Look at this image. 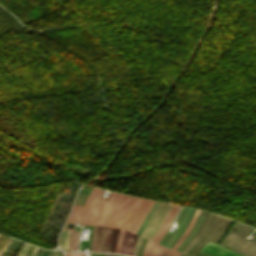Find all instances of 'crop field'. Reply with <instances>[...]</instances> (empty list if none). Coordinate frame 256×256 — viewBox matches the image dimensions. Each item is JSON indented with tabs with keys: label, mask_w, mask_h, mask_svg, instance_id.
Listing matches in <instances>:
<instances>
[{
	"label": "crop field",
	"mask_w": 256,
	"mask_h": 256,
	"mask_svg": "<svg viewBox=\"0 0 256 256\" xmlns=\"http://www.w3.org/2000/svg\"><path fill=\"white\" fill-rule=\"evenodd\" d=\"M238 230L236 234L233 230ZM252 228L236 222L221 245L235 250L244 256H256V235L252 241L243 240Z\"/></svg>",
	"instance_id": "obj_3"
},
{
	"label": "crop field",
	"mask_w": 256,
	"mask_h": 256,
	"mask_svg": "<svg viewBox=\"0 0 256 256\" xmlns=\"http://www.w3.org/2000/svg\"><path fill=\"white\" fill-rule=\"evenodd\" d=\"M148 202H149L148 199L141 198L140 202L136 206L135 210L133 211V213L130 216L129 220L125 224L124 228L120 230L115 252L119 253L121 242H122V238H123L124 229H128V230L131 231V229L134 227V225L136 224L137 220L141 216L142 212L144 211V209H145L146 205L148 204Z\"/></svg>",
	"instance_id": "obj_7"
},
{
	"label": "crop field",
	"mask_w": 256,
	"mask_h": 256,
	"mask_svg": "<svg viewBox=\"0 0 256 256\" xmlns=\"http://www.w3.org/2000/svg\"><path fill=\"white\" fill-rule=\"evenodd\" d=\"M154 203L153 200H150L148 206L146 207L145 211L143 212L142 216L140 217V219L138 220L137 224L135 225V227L132 229V233H135V231L137 230L138 226L140 225V223L142 222V220L144 219L145 215L147 214V212L149 211V209L151 208L152 204Z\"/></svg>",
	"instance_id": "obj_13"
},
{
	"label": "crop field",
	"mask_w": 256,
	"mask_h": 256,
	"mask_svg": "<svg viewBox=\"0 0 256 256\" xmlns=\"http://www.w3.org/2000/svg\"><path fill=\"white\" fill-rule=\"evenodd\" d=\"M111 256H122V255H115V254H111Z\"/></svg>",
	"instance_id": "obj_23"
},
{
	"label": "crop field",
	"mask_w": 256,
	"mask_h": 256,
	"mask_svg": "<svg viewBox=\"0 0 256 256\" xmlns=\"http://www.w3.org/2000/svg\"><path fill=\"white\" fill-rule=\"evenodd\" d=\"M201 250L215 256H241L221 245L212 242H208Z\"/></svg>",
	"instance_id": "obj_8"
},
{
	"label": "crop field",
	"mask_w": 256,
	"mask_h": 256,
	"mask_svg": "<svg viewBox=\"0 0 256 256\" xmlns=\"http://www.w3.org/2000/svg\"><path fill=\"white\" fill-rule=\"evenodd\" d=\"M42 256H60L59 252L44 250Z\"/></svg>",
	"instance_id": "obj_16"
},
{
	"label": "crop field",
	"mask_w": 256,
	"mask_h": 256,
	"mask_svg": "<svg viewBox=\"0 0 256 256\" xmlns=\"http://www.w3.org/2000/svg\"><path fill=\"white\" fill-rule=\"evenodd\" d=\"M28 247H29V245L24 243V245L22 246V248L19 251V253L17 254V256H24V254L26 253Z\"/></svg>",
	"instance_id": "obj_17"
},
{
	"label": "crop field",
	"mask_w": 256,
	"mask_h": 256,
	"mask_svg": "<svg viewBox=\"0 0 256 256\" xmlns=\"http://www.w3.org/2000/svg\"><path fill=\"white\" fill-rule=\"evenodd\" d=\"M230 223L231 220L209 213L199 233L180 256H193L209 240L217 243Z\"/></svg>",
	"instance_id": "obj_2"
},
{
	"label": "crop field",
	"mask_w": 256,
	"mask_h": 256,
	"mask_svg": "<svg viewBox=\"0 0 256 256\" xmlns=\"http://www.w3.org/2000/svg\"><path fill=\"white\" fill-rule=\"evenodd\" d=\"M69 233H70V231L63 229L59 236V245L63 249H67Z\"/></svg>",
	"instance_id": "obj_12"
},
{
	"label": "crop field",
	"mask_w": 256,
	"mask_h": 256,
	"mask_svg": "<svg viewBox=\"0 0 256 256\" xmlns=\"http://www.w3.org/2000/svg\"><path fill=\"white\" fill-rule=\"evenodd\" d=\"M60 254H61V256H63V253L60 252Z\"/></svg>",
	"instance_id": "obj_25"
},
{
	"label": "crop field",
	"mask_w": 256,
	"mask_h": 256,
	"mask_svg": "<svg viewBox=\"0 0 256 256\" xmlns=\"http://www.w3.org/2000/svg\"><path fill=\"white\" fill-rule=\"evenodd\" d=\"M152 244H153L152 241H149V240L147 241V244H146V247H145V250H144L142 256H148L149 255V252L151 250Z\"/></svg>",
	"instance_id": "obj_15"
},
{
	"label": "crop field",
	"mask_w": 256,
	"mask_h": 256,
	"mask_svg": "<svg viewBox=\"0 0 256 256\" xmlns=\"http://www.w3.org/2000/svg\"><path fill=\"white\" fill-rule=\"evenodd\" d=\"M65 256H85V253L65 252Z\"/></svg>",
	"instance_id": "obj_18"
},
{
	"label": "crop field",
	"mask_w": 256,
	"mask_h": 256,
	"mask_svg": "<svg viewBox=\"0 0 256 256\" xmlns=\"http://www.w3.org/2000/svg\"><path fill=\"white\" fill-rule=\"evenodd\" d=\"M36 251H37V247H34L30 256H35Z\"/></svg>",
	"instance_id": "obj_20"
},
{
	"label": "crop field",
	"mask_w": 256,
	"mask_h": 256,
	"mask_svg": "<svg viewBox=\"0 0 256 256\" xmlns=\"http://www.w3.org/2000/svg\"><path fill=\"white\" fill-rule=\"evenodd\" d=\"M137 237L138 236H136L135 234H132L125 230L120 252L132 255L135 243L137 241Z\"/></svg>",
	"instance_id": "obj_9"
},
{
	"label": "crop field",
	"mask_w": 256,
	"mask_h": 256,
	"mask_svg": "<svg viewBox=\"0 0 256 256\" xmlns=\"http://www.w3.org/2000/svg\"><path fill=\"white\" fill-rule=\"evenodd\" d=\"M77 193H78V192H77ZM86 198H87V194H83V193H80V192H79V193L76 195V199H75V202H74V203L83 205L84 202H85V200H86Z\"/></svg>",
	"instance_id": "obj_14"
},
{
	"label": "crop field",
	"mask_w": 256,
	"mask_h": 256,
	"mask_svg": "<svg viewBox=\"0 0 256 256\" xmlns=\"http://www.w3.org/2000/svg\"><path fill=\"white\" fill-rule=\"evenodd\" d=\"M7 239H8V237L6 238L5 242L7 241ZM10 241H11V238L8 239V241L6 242V244H5V242L3 243V245L5 244V246L3 247V245H2L3 249H2V251H1V253H0V255L3 253V251L5 250V248L7 247V245L9 244ZM2 247H1V248H2ZM1 248H0V250H1Z\"/></svg>",
	"instance_id": "obj_19"
},
{
	"label": "crop field",
	"mask_w": 256,
	"mask_h": 256,
	"mask_svg": "<svg viewBox=\"0 0 256 256\" xmlns=\"http://www.w3.org/2000/svg\"><path fill=\"white\" fill-rule=\"evenodd\" d=\"M80 233V227L76 226L75 231H71L69 250H77V242Z\"/></svg>",
	"instance_id": "obj_11"
},
{
	"label": "crop field",
	"mask_w": 256,
	"mask_h": 256,
	"mask_svg": "<svg viewBox=\"0 0 256 256\" xmlns=\"http://www.w3.org/2000/svg\"><path fill=\"white\" fill-rule=\"evenodd\" d=\"M178 209H179V206L173 205L169 215L167 216L165 221L162 223V225L160 226V228L158 229V231L156 232V234L152 238V240L155 242V244H154L153 249L150 253V256H161L162 255L165 248L158 245L157 243L159 242V240L162 238L164 233L169 228V226H170L172 220L174 219Z\"/></svg>",
	"instance_id": "obj_6"
},
{
	"label": "crop field",
	"mask_w": 256,
	"mask_h": 256,
	"mask_svg": "<svg viewBox=\"0 0 256 256\" xmlns=\"http://www.w3.org/2000/svg\"><path fill=\"white\" fill-rule=\"evenodd\" d=\"M103 192L93 187L84 206L74 204L66 221L123 228L140 198L111 191L104 199Z\"/></svg>",
	"instance_id": "obj_1"
},
{
	"label": "crop field",
	"mask_w": 256,
	"mask_h": 256,
	"mask_svg": "<svg viewBox=\"0 0 256 256\" xmlns=\"http://www.w3.org/2000/svg\"><path fill=\"white\" fill-rule=\"evenodd\" d=\"M201 210L197 209L187 230L185 231V233L182 235V237L178 240V242L174 245V247L172 249L167 248L164 255L163 256H178L180 252H176V248L178 247V245L181 243V241L185 238V236L188 234V232L191 230V228L193 227L199 213Z\"/></svg>",
	"instance_id": "obj_10"
},
{
	"label": "crop field",
	"mask_w": 256,
	"mask_h": 256,
	"mask_svg": "<svg viewBox=\"0 0 256 256\" xmlns=\"http://www.w3.org/2000/svg\"><path fill=\"white\" fill-rule=\"evenodd\" d=\"M105 256H110V254H105Z\"/></svg>",
	"instance_id": "obj_24"
},
{
	"label": "crop field",
	"mask_w": 256,
	"mask_h": 256,
	"mask_svg": "<svg viewBox=\"0 0 256 256\" xmlns=\"http://www.w3.org/2000/svg\"><path fill=\"white\" fill-rule=\"evenodd\" d=\"M4 239H5V236H3V235L0 234V246L2 245Z\"/></svg>",
	"instance_id": "obj_21"
},
{
	"label": "crop field",
	"mask_w": 256,
	"mask_h": 256,
	"mask_svg": "<svg viewBox=\"0 0 256 256\" xmlns=\"http://www.w3.org/2000/svg\"><path fill=\"white\" fill-rule=\"evenodd\" d=\"M31 248H32V246H30V248L28 249V251H27V253L25 254V256L28 255V253L30 252Z\"/></svg>",
	"instance_id": "obj_22"
},
{
	"label": "crop field",
	"mask_w": 256,
	"mask_h": 256,
	"mask_svg": "<svg viewBox=\"0 0 256 256\" xmlns=\"http://www.w3.org/2000/svg\"><path fill=\"white\" fill-rule=\"evenodd\" d=\"M114 228L94 226L90 251H109Z\"/></svg>",
	"instance_id": "obj_5"
},
{
	"label": "crop field",
	"mask_w": 256,
	"mask_h": 256,
	"mask_svg": "<svg viewBox=\"0 0 256 256\" xmlns=\"http://www.w3.org/2000/svg\"><path fill=\"white\" fill-rule=\"evenodd\" d=\"M171 207H172V204H167V203L161 202V204L157 208L156 212L154 213V215L152 216V218L146 225L145 229L141 233V235L137 241V244H136V248H135V251L133 254L134 256L137 253V250H138V247H139L142 237H145V238L151 240V238L153 237V235L155 234V232L157 231V229L159 228V226L161 225L163 220L168 215Z\"/></svg>",
	"instance_id": "obj_4"
}]
</instances>
